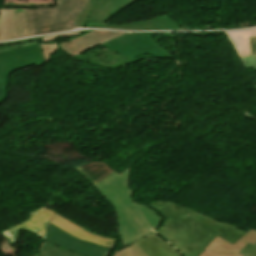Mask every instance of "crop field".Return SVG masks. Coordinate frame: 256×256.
<instances>
[{
    "instance_id": "5",
    "label": "crop field",
    "mask_w": 256,
    "mask_h": 256,
    "mask_svg": "<svg viewBox=\"0 0 256 256\" xmlns=\"http://www.w3.org/2000/svg\"><path fill=\"white\" fill-rule=\"evenodd\" d=\"M47 8L27 9L30 36L75 28L67 22L74 18L87 0H55Z\"/></svg>"
},
{
    "instance_id": "14",
    "label": "crop field",
    "mask_w": 256,
    "mask_h": 256,
    "mask_svg": "<svg viewBox=\"0 0 256 256\" xmlns=\"http://www.w3.org/2000/svg\"><path fill=\"white\" fill-rule=\"evenodd\" d=\"M225 33L236 49L239 57L251 55V48L249 44L251 30Z\"/></svg>"
},
{
    "instance_id": "9",
    "label": "crop field",
    "mask_w": 256,
    "mask_h": 256,
    "mask_svg": "<svg viewBox=\"0 0 256 256\" xmlns=\"http://www.w3.org/2000/svg\"><path fill=\"white\" fill-rule=\"evenodd\" d=\"M57 213L42 207L31 212L29 219L10 227L3 231L1 234L13 245L16 243L21 229L28 231L40 238H43L45 226Z\"/></svg>"
},
{
    "instance_id": "23",
    "label": "crop field",
    "mask_w": 256,
    "mask_h": 256,
    "mask_svg": "<svg viewBox=\"0 0 256 256\" xmlns=\"http://www.w3.org/2000/svg\"><path fill=\"white\" fill-rule=\"evenodd\" d=\"M250 44H251V48H252V55L256 54V37L251 38Z\"/></svg>"
},
{
    "instance_id": "4",
    "label": "crop field",
    "mask_w": 256,
    "mask_h": 256,
    "mask_svg": "<svg viewBox=\"0 0 256 256\" xmlns=\"http://www.w3.org/2000/svg\"><path fill=\"white\" fill-rule=\"evenodd\" d=\"M40 37L0 44V104L8 96V76L18 68L42 63Z\"/></svg>"
},
{
    "instance_id": "22",
    "label": "crop field",
    "mask_w": 256,
    "mask_h": 256,
    "mask_svg": "<svg viewBox=\"0 0 256 256\" xmlns=\"http://www.w3.org/2000/svg\"><path fill=\"white\" fill-rule=\"evenodd\" d=\"M200 256H243V255H228V254H218L209 250L208 252L204 251Z\"/></svg>"
},
{
    "instance_id": "18",
    "label": "crop field",
    "mask_w": 256,
    "mask_h": 256,
    "mask_svg": "<svg viewBox=\"0 0 256 256\" xmlns=\"http://www.w3.org/2000/svg\"><path fill=\"white\" fill-rule=\"evenodd\" d=\"M138 208L141 210L143 216L147 220L148 224L152 229H156L159 227L163 221L162 217H160L154 210L145 204L135 203Z\"/></svg>"
},
{
    "instance_id": "19",
    "label": "crop field",
    "mask_w": 256,
    "mask_h": 256,
    "mask_svg": "<svg viewBox=\"0 0 256 256\" xmlns=\"http://www.w3.org/2000/svg\"><path fill=\"white\" fill-rule=\"evenodd\" d=\"M81 32H74V33H64V34H58V35H52V36H48L42 39L43 42L45 41H53L59 38H64V37H68V36H73V35H78ZM55 45H57V43L54 42ZM55 45H42V50H43V55H44V61L45 63H48L51 55L53 54V52L55 50H57L59 47L55 46Z\"/></svg>"
},
{
    "instance_id": "21",
    "label": "crop field",
    "mask_w": 256,
    "mask_h": 256,
    "mask_svg": "<svg viewBox=\"0 0 256 256\" xmlns=\"http://www.w3.org/2000/svg\"><path fill=\"white\" fill-rule=\"evenodd\" d=\"M239 254H244V256H256V246L248 243Z\"/></svg>"
},
{
    "instance_id": "11",
    "label": "crop field",
    "mask_w": 256,
    "mask_h": 256,
    "mask_svg": "<svg viewBox=\"0 0 256 256\" xmlns=\"http://www.w3.org/2000/svg\"><path fill=\"white\" fill-rule=\"evenodd\" d=\"M49 224L63 230L64 232L76 238H79L81 240H84L102 247L113 249V246L116 241L115 239L95 234L81 227L80 225L70 221L69 219L63 217L60 214L54 217Z\"/></svg>"
},
{
    "instance_id": "20",
    "label": "crop field",
    "mask_w": 256,
    "mask_h": 256,
    "mask_svg": "<svg viewBox=\"0 0 256 256\" xmlns=\"http://www.w3.org/2000/svg\"><path fill=\"white\" fill-rule=\"evenodd\" d=\"M246 69L254 67L256 71V55L240 58Z\"/></svg>"
},
{
    "instance_id": "12",
    "label": "crop field",
    "mask_w": 256,
    "mask_h": 256,
    "mask_svg": "<svg viewBox=\"0 0 256 256\" xmlns=\"http://www.w3.org/2000/svg\"><path fill=\"white\" fill-rule=\"evenodd\" d=\"M248 242L256 245L255 230L250 229L249 232H247L243 237H241L233 245L217 236L204 250L208 251L209 249H211L218 253L237 254L243 249V247Z\"/></svg>"
},
{
    "instance_id": "2",
    "label": "crop field",
    "mask_w": 256,
    "mask_h": 256,
    "mask_svg": "<svg viewBox=\"0 0 256 256\" xmlns=\"http://www.w3.org/2000/svg\"><path fill=\"white\" fill-rule=\"evenodd\" d=\"M129 170L121 175L114 171L94 186L116 208L120 238L126 246L154 232L129 197Z\"/></svg>"
},
{
    "instance_id": "8",
    "label": "crop field",
    "mask_w": 256,
    "mask_h": 256,
    "mask_svg": "<svg viewBox=\"0 0 256 256\" xmlns=\"http://www.w3.org/2000/svg\"><path fill=\"white\" fill-rule=\"evenodd\" d=\"M56 245L66 248L70 251L86 256H109L112 250L102 248L81 240H78L63 231L48 225L47 234L44 238Z\"/></svg>"
},
{
    "instance_id": "17",
    "label": "crop field",
    "mask_w": 256,
    "mask_h": 256,
    "mask_svg": "<svg viewBox=\"0 0 256 256\" xmlns=\"http://www.w3.org/2000/svg\"><path fill=\"white\" fill-rule=\"evenodd\" d=\"M44 246L37 256H82L59 246H56L46 240H43Z\"/></svg>"
},
{
    "instance_id": "15",
    "label": "crop field",
    "mask_w": 256,
    "mask_h": 256,
    "mask_svg": "<svg viewBox=\"0 0 256 256\" xmlns=\"http://www.w3.org/2000/svg\"><path fill=\"white\" fill-rule=\"evenodd\" d=\"M13 29L15 38L29 36L26 9L13 8Z\"/></svg>"
},
{
    "instance_id": "6",
    "label": "crop field",
    "mask_w": 256,
    "mask_h": 256,
    "mask_svg": "<svg viewBox=\"0 0 256 256\" xmlns=\"http://www.w3.org/2000/svg\"><path fill=\"white\" fill-rule=\"evenodd\" d=\"M101 46L130 59L145 53L157 58H174L168 51L154 42L150 33H128Z\"/></svg>"
},
{
    "instance_id": "3",
    "label": "crop field",
    "mask_w": 256,
    "mask_h": 256,
    "mask_svg": "<svg viewBox=\"0 0 256 256\" xmlns=\"http://www.w3.org/2000/svg\"><path fill=\"white\" fill-rule=\"evenodd\" d=\"M136 2L135 0H88L83 10L69 23L79 27L109 28L118 30H180V27L168 17L159 16L143 22L127 25L104 24L120 9Z\"/></svg>"
},
{
    "instance_id": "1",
    "label": "crop field",
    "mask_w": 256,
    "mask_h": 256,
    "mask_svg": "<svg viewBox=\"0 0 256 256\" xmlns=\"http://www.w3.org/2000/svg\"><path fill=\"white\" fill-rule=\"evenodd\" d=\"M148 206L164 218L155 231L183 256H199L217 235L233 244L247 232L173 202L155 200Z\"/></svg>"
},
{
    "instance_id": "13",
    "label": "crop field",
    "mask_w": 256,
    "mask_h": 256,
    "mask_svg": "<svg viewBox=\"0 0 256 256\" xmlns=\"http://www.w3.org/2000/svg\"><path fill=\"white\" fill-rule=\"evenodd\" d=\"M92 185L106 177L113 170L104 162H90L75 168Z\"/></svg>"
},
{
    "instance_id": "10",
    "label": "crop field",
    "mask_w": 256,
    "mask_h": 256,
    "mask_svg": "<svg viewBox=\"0 0 256 256\" xmlns=\"http://www.w3.org/2000/svg\"><path fill=\"white\" fill-rule=\"evenodd\" d=\"M123 34L122 32L92 30L78 38L71 39L67 42L60 43L59 46L65 52L73 57L93 48L97 44H101L107 40L117 38Z\"/></svg>"
},
{
    "instance_id": "7",
    "label": "crop field",
    "mask_w": 256,
    "mask_h": 256,
    "mask_svg": "<svg viewBox=\"0 0 256 256\" xmlns=\"http://www.w3.org/2000/svg\"><path fill=\"white\" fill-rule=\"evenodd\" d=\"M113 256H181L155 232L114 253Z\"/></svg>"
},
{
    "instance_id": "16",
    "label": "crop field",
    "mask_w": 256,
    "mask_h": 256,
    "mask_svg": "<svg viewBox=\"0 0 256 256\" xmlns=\"http://www.w3.org/2000/svg\"><path fill=\"white\" fill-rule=\"evenodd\" d=\"M14 38L12 30V8L0 9V40Z\"/></svg>"
},
{
    "instance_id": "24",
    "label": "crop field",
    "mask_w": 256,
    "mask_h": 256,
    "mask_svg": "<svg viewBox=\"0 0 256 256\" xmlns=\"http://www.w3.org/2000/svg\"><path fill=\"white\" fill-rule=\"evenodd\" d=\"M254 36H256V28L252 29L251 37H254Z\"/></svg>"
}]
</instances>
